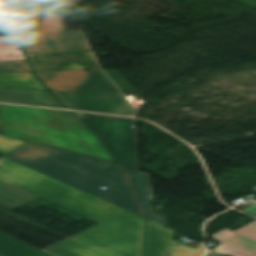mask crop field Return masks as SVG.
<instances>
[{"mask_svg": "<svg viewBox=\"0 0 256 256\" xmlns=\"http://www.w3.org/2000/svg\"><path fill=\"white\" fill-rule=\"evenodd\" d=\"M0 180L101 224L74 237L116 256H141L145 219L5 157Z\"/></svg>", "mask_w": 256, "mask_h": 256, "instance_id": "crop-field-1", "label": "crop field"}, {"mask_svg": "<svg viewBox=\"0 0 256 256\" xmlns=\"http://www.w3.org/2000/svg\"><path fill=\"white\" fill-rule=\"evenodd\" d=\"M1 34H17L27 53L90 51L81 32L66 33L45 0H0Z\"/></svg>", "mask_w": 256, "mask_h": 256, "instance_id": "crop-field-2", "label": "crop field"}, {"mask_svg": "<svg viewBox=\"0 0 256 256\" xmlns=\"http://www.w3.org/2000/svg\"><path fill=\"white\" fill-rule=\"evenodd\" d=\"M0 118L9 135L112 160L96 137L67 111L0 105Z\"/></svg>", "mask_w": 256, "mask_h": 256, "instance_id": "crop-field-3", "label": "crop field"}, {"mask_svg": "<svg viewBox=\"0 0 256 256\" xmlns=\"http://www.w3.org/2000/svg\"><path fill=\"white\" fill-rule=\"evenodd\" d=\"M3 156L72 187L141 215L128 186L78 164L28 143ZM101 186L108 189L104 190L100 188ZM112 188H116V190ZM119 196L124 199L119 198Z\"/></svg>", "mask_w": 256, "mask_h": 256, "instance_id": "crop-field-4", "label": "crop field"}, {"mask_svg": "<svg viewBox=\"0 0 256 256\" xmlns=\"http://www.w3.org/2000/svg\"><path fill=\"white\" fill-rule=\"evenodd\" d=\"M95 131L125 171L138 170V146L135 119L78 113Z\"/></svg>", "mask_w": 256, "mask_h": 256, "instance_id": "crop-field-5", "label": "crop field"}, {"mask_svg": "<svg viewBox=\"0 0 256 256\" xmlns=\"http://www.w3.org/2000/svg\"><path fill=\"white\" fill-rule=\"evenodd\" d=\"M36 73L50 90L78 92L119 91L101 70Z\"/></svg>", "mask_w": 256, "mask_h": 256, "instance_id": "crop-field-6", "label": "crop field"}, {"mask_svg": "<svg viewBox=\"0 0 256 256\" xmlns=\"http://www.w3.org/2000/svg\"><path fill=\"white\" fill-rule=\"evenodd\" d=\"M52 92L68 109L127 116L134 115L136 112L121 92Z\"/></svg>", "mask_w": 256, "mask_h": 256, "instance_id": "crop-field-7", "label": "crop field"}, {"mask_svg": "<svg viewBox=\"0 0 256 256\" xmlns=\"http://www.w3.org/2000/svg\"><path fill=\"white\" fill-rule=\"evenodd\" d=\"M174 231L148 220L144 256H203L200 244L194 249L174 241Z\"/></svg>", "mask_w": 256, "mask_h": 256, "instance_id": "crop-field-8", "label": "crop field"}, {"mask_svg": "<svg viewBox=\"0 0 256 256\" xmlns=\"http://www.w3.org/2000/svg\"><path fill=\"white\" fill-rule=\"evenodd\" d=\"M36 71L99 69L91 52L28 54Z\"/></svg>", "mask_w": 256, "mask_h": 256, "instance_id": "crop-field-9", "label": "crop field"}, {"mask_svg": "<svg viewBox=\"0 0 256 256\" xmlns=\"http://www.w3.org/2000/svg\"><path fill=\"white\" fill-rule=\"evenodd\" d=\"M221 243L215 250L239 256H256V221L233 232L224 229L212 236Z\"/></svg>", "mask_w": 256, "mask_h": 256, "instance_id": "crop-field-10", "label": "crop field"}, {"mask_svg": "<svg viewBox=\"0 0 256 256\" xmlns=\"http://www.w3.org/2000/svg\"><path fill=\"white\" fill-rule=\"evenodd\" d=\"M26 142H29L37 147H40L44 150H47L49 152H52L56 155H59L63 158H66L70 161H73L75 163H78L82 166H85L89 169H92L96 172H99L103 175H106L112 179H115L119 182H122L124 184H126L122 174H121V171L120 169L117 167V165H114L112 163H109L107 161H104V160H101L99 158H96V157H92V156H87V155H83V154H79V153H74V152H70V151H66V150H62V149H59V148H55V147H51V146H47V145H43V144H39V143H35V142H31V141H27V140H24ZM98 162H106V163H109L111 164L112 166L111 167H107V168H103V169H99L97 168L95 165L96 163ZM127 185V184H126Z\"/></svg>", "mask_w": 256, "mask_h": 256, "instance_id": "crop-field-11", "label": "crop field"}, {"mask_svg": "<svg viewBox=\"0 0 256 256\" xmlns=\"http://www.w3.org/2000/svg\"><path fill=\"white\" fill-rule=\"evenodd\" d=\"M0 102L62 108L48 91L0 89Z\"/></svg>", "mask_w": 256, "mask_h": 256, "instance_id": "crop-field-12", "label": "crop field"}, {"mask_svg": "<svg viewBox=\"0 0 256 256\" xmlns=\"http://www.w3.org/2000/svg\"><path fill=\"white\" fill-rule=\"evenodd\" d=\"M45 251L56 256H112L73 237Z\"/></svg>", "mask_w": 256, "mask_h": 256, "instance_id": "crop-field-13", "label": "crop field"}, {"mask_svg": "<svg viewBox=\"0 0 256 256\" xmlns=\"http://www.w3.org/2000/svg\"><path fill=\"white\" fill-rule=\"evenodd\" d=\"M1 256H54L0 232Z\"/></svg>", "mask_w": 256, "mask_h": 256, "instance_id": "crop-field-14", "label": "crop field"}, {"mask_svg": "<svg viewBox=\"0 0 256 256\" xmlns=\"http://www.w3.org/2000/svg\"><path fill=\"white\" fill-rule=\"evenodd\" d=\"M0 88L47 90L33 72L0 73Z\"/></svg>", "mask_w": 256, "mask_h": 256, "instance_id": "crop-field-15", "label": "crop field"}, {"mask_svg": "<svg viewBox=\"0 0 256 256\" xmlns=\"http://www.w3.org/2000/svg\"><path fill=\"white\" fill-rule=\"evenodd\" d=\"M39 197L0 181V205L14 210Z\"/></svg>", "mask_w": 256, "mask_h": 256, "instance_id": "crop-field-16", "label": "crop field"}, {"mask_svg": "<svg viewBox=\"0 0 256 256\" xmlns=\"http://www.w3.org/2000/svg\"><path fill=\"white\" fill-rule=\"evenodd\" d=\"M26 60L15 36H0V61Z\"/></svg>", "mask_w": 256, "mask_h": 256, "instance_id": "crop-field-17", "label": "crop field"}, {"mask_svg": "<svg viewBox=\"0 0 256 256\" xmlns=\"http://www.w3.org/2000/svg\"><path fill=\"white\" fill-rule=\"evenodd\" d=\"M127 175L132 187L153 196L149 181V174L140 171H134L128 172Z\"/></svg>", "mask_w": 256, "mask_h": 256, "instance_id": "crop-field-18", "label": "crop field"}, {"mask_svg": "<svg viewBox=\"0 0 256 256\" xmlns=\"http://www.w3.org/2000/svg\"><path fill=\"white\" fill-rule=\"evenodd\" d=\"M134 189V188H133ZM134 192L136 193L139 201H140V204L144 210V212L146 213L147 215V218L154 221V222H157L159 224H164V225H167V222L164 218V216H161V215H154L153 212H152V209L151 207L148 205L147 202L149 201H153L155 200L152 196L148 195V194H145L141 191H138L136 189H134ZM144 213V214H145Z\"/></svg>", "mask_w": 256, "mask_h": 256, "instance_id": "crop-field-19", "label": "crop field"}, {"mask_svg": "<svg viewBox=\"0 0 256 256\" xmlns=\"http://www.w3.org/2000/svg\"><path fill=\"white\" fill-rule=\"evenodd\" d=\"M25 71H32L28 61L0 62V72H25Z\"/></svg>", "mask_w": 256, "mask_h": 256, "instance_id": "crop-field-20", "label": "crop field"}, {"mask_svg": "<svg viewBox=\"0 0 256 256\" xmlns=\"http://www.w3.org/2000/svg\"><path fill=\"white\" fill-rule=\"evenodd\" d=\"M26 142L16 138L0 135V155L24 144Z\"/></svg>", "mask_w": 256, "mask_h": 256, "instance_id": "crop-field-21", "label": "crop field"}, {"mask_svg": "<svg viewBox=\"0 0 256 256\" xmlns=\"http://www.w3.org/2000/svg\"><path fill=\"white\" fill-rule=\"evenodd\" d=\"M105 72L122 91H135L116 70H110Z\"/></svg>", "mask_w": 256, "mask_h": 256, "instance_id": "crop-field-22", "label": "crop field"}, {"mask_svg": "<svg viewBox=\"0 0 256 256\" xmlns=\"http://www.w3.org/2000/svg\"><path fill=\"white\" fill-rule=\"evenodd\" d=\"M253 190L256 191V188H254ZM243 211H245V212H247V213H249V214H251V215L256 217V203L254 205H252L251 207L243 210Z\"/></svg>", "mask_w": 256, "mask_h": 256, "instance_id": "crop-field-23", "label": "crop field"}, {"mask_svg": "<svg viewBox=\"0 0 256 256\" xmlns=\"http://www.w3.org/2000/svg\"><path fill=\"white\" fill-rule=\"evenodd\" d=\"M206 256H230V255H223V254H218V253H216L214 251H210V253L208 255H206Z\"/></svg>", "mask_w": 256, "mask_h": 256, "instance_id": "crop-field-24", "label": "crop field"}, {"mask_svg": "<svg viewBox=\"0 0 256 256\" xmlns=\"http://www.w3.org/2000/svg\"><path fill=\"white\" fill-rule=\"evenodd\" d=\"M2 132H4V131H3V126H2L1 121H0V133H2Z\"/></svg>", "mask_w": 256, "mask_h": 256, "instance_id": "crop-field-25", "label": "crop field"}]
</instances>
